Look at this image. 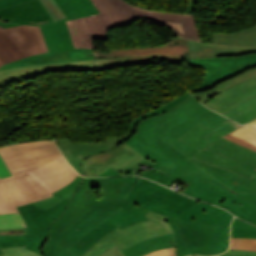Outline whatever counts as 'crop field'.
I'll use <instances>...</instances> for the list:
<instances>
[{
	"instance_id": "8a807250",
	"label": "crop field",
	"mask_w": 256,
	"mask_h": 256,
	"mask_svg": "<svg viewBox=\"0 0 256 256\" xmlns=\"http://www.w3.org/2000/svg\"><path fill=\"white\" fill-rule=\"evenodd\" d=\"M198 123L192 118L180 124L171 118L164 122L149 117L138 123L136 133L125 142L156 163L151 167L174 176L166 186L177 179L188 184L211 181L233 192L239 187L232 183L239 174L191 158L200 150L179 140Z\"/></svg>"
},
{
	"instance_id": "ac0d7876",
	"label": "crop field",
	"mask_w": 256,
	"mask_h": 256,
	"mask_svg": "<svg viewBox=\"0 0 256 256\" xmlns=\"http://www.w3.org/2000/svg\"><path fill=\"white\" fill-rule=\"evenodd\" d=\"M137 179V176L84 178L64 214L51 223V234L41 248L42 255L78 256L67 249L121 208L101 204L97 199L124 200Z\"/></svg>"
},
{
	"instance_id": "34b2d1b8",
	"label": "crop field",
	"mask_w": 256,
	"mask_h": 256,
	"mask_svg": "<svg viewBox=\"0 0 256 256\" xmlns=\"http://www.w3.org/2000/svg\"><path fill=\"white\" fill-rule=\"evenodd\" d=\"M92 1L100 14L67 21L75 48H93L92 38L107 39L108 29L144 17L167 25L181 37L201 41L193 15L149 11L124 0Z\"/></svg>"
},
{
	"instance_id": "412701ff",
	"label": "crop field",
	"mask_w": 256,
	"mask_h": 256,
	"mask_svg": "<svg viewBox=\"0 0 256 256\" xmlns=\"http://www.w3.org/2000/svg\"><path fill=\"white\" fill-rule=\"evenodd\" d=\"M232 218L221 208L199 202L177 219L167 216L165 221L175 232L178 256L214 255L226 251L229 246Z\"/></svg>"
},
{
	"instance_id": "f4fd0767",
	"label": "crop field",
	"mask_w": 256,
	"mask_h": 256,
	"mask_svg": "<svg viewBox=\"0 0 256 256\" xmlns=\"http://www.w3.org/2000/svg\"><path fill=\"white\" fill-rule=\"evenodd\" d=\"M221 137L199 123L180 140L202 150L193 158L241 174L234 183L255 190L256 152Z\"/></svg>"
},
{
	"instance_id": "dd49c442",
	"label": "crop field",
	"mask_w": 256,
	"mask_h": 256,
	"mask_svg": "<svg viewBox=\"0 0 256 256\" xmlns=\"http://www.w3.org/2000/svg\"><path fill=\"white\" fill-rule=\"evenodd\" d=\"M69 201L64 199L47 210L38 209L34 203L18 206L27 226V234L26 236L0 235L1 248L26 245V248L41 254L40 248L50 233V223L60 217Z\"/></svg>"
},
{
	"instance_id": "e52e79f7",
	"label": "crop field",
	"mask_w": 256,
	"mask_h": 256,
	"mask_svg": "<svg viewBox=\"0 0 256 256\" xmlns=\"http://www.w3.org/2000/svg\"><path fill=\"white\" fill-rule=\"evenodd\" d=\"M125 201L174 218L199 202L141 177H139Z\"/></svg>"
},
{
	"instance_id": "d8731c3e",
	"label": "crop field",
	"mask_w": 256,
	"mask_h": 256,
	"mask_svg": "<svg viewBox=\"0 0 256 256\" xmlns=\"http://www.w3.org/2000/svg\"><path fill=\"white\" fill-rule=\"evenodd\" d=\"M193 95L209 108L222 113L256 95V68L225 80L215 88Z\"/></svg>"
},
{
	"instance_id": "5a996713",
	"label": "crop field",
	"mask_w": 256,
	"mask_h": 256,
	"mask_svg": "<svg viewBox=\"0 0 256 256\" xmlns=\"http://www.w3.org/2000/svg\"><path fill=\"white\" fill-rule=\"evenodd\" d=\"M145 215L149 219L148 221L136 223L122 230L117 227L102 239H100L83 256H98L107 248L116 243L120 249L123 250L138 241L161 234L173 233L170 225L166 222H163L166 219V216L157 214L152 211Z\"/></svg>"
},
{
	"instance_id": "3316defc",
	"label": "crop field",
	"mask_w": 256,
	"mask_h": 256,
	"mask_svg": "<svg viewBox=\"0 0 256 256\" xmlns=\"http://www.w3.org/2000/svg\"><path fill=\"white\" fill-rule=\"evenodd\" d=\"M6 166L12 175L31 171L61 155L54 140L24 142L0 148Z\"/></svg>"
},
{
	"instance_id": "28ad6ade",
	"label": "crop field",
	"mask_w": 256,
	"mask_h": 256,
	"mask_svg": "<svg viewBox=\"0 0 256 256\" xmlns=\"http://www.w3.org/2000/svg\"><path fill=\"white\" fill-rule=\"evenodd\" d=\"M46 51L48 50L39 27H0V66Z\"/></svg>"
},
{
	"instance_id": "d1516ede",
	"label": "crop field",
	"mask_w": 256,
	"mask_h": 256,
	"mask_svg": "<svg viewBox=\"0 0 256 256\" xmlns=\"http://www.w3.org/2000/svg\"><path fill=\"white\" fill-rule=\"evenodd\" d=\"M52 194L28 172L0 180V214L18 212L16 206L43 200Z\"/></svg>"
},
{
	"instance_id": "22f410ed",
	"label": "crop field",
	"mask_w": 256,
	"mask_h": 256,
	"mask_svg": "<svg viewBox=\"0 0 256 256\" xmlns=\"http://www.w3.org/2000/svg\"><path fill=\"white\" fill-rule=\"evenodd\" d=\"M101 203L116 205L123 207L114 213L108 219L96 226L90 233L80 239L68 250L82 256L89 248H91L101 237L113 230L115 227L121 229L134 224L136 222L147 220L144 215L149 210L137 207L125 201L116 200H99Z\"/></svg>"
},
{
	"instance_id": "cbeb9de0",
	"label": "crop field",
	"mask_w": 256,
	"mask_h": 256,
	"mask_svg": "<svg viewBox=\"0 0 256 256\" xmlns=\"http://www.w3.org/2000/svg\"><path fill=\"white\" fill-rule=\"evenodd\" d=\"M183 193L226 208L241 219L256 225V204L246 201L218 185L210 182H192Z\"/></svg>"
},
{
	"instance_id": "5142ce71",
	"label": "crop field",
	"mask_w": 256,
	"mask_h": 256,
	"mask_svg": "<svg viewBox=\"0 0 256 256\" xmlns=\"http://www.w3.org/2000/svg\"><path fill=\"white\" fill-rule=\"evenodd\" d=\"M67 18L53 24L41 26V31L48 50L74 48L65 21L78 17L97 14L98 11L91 0H55Z\"/></svg>"
},
{
	"instance_id": "d9b57169",
	"label": "crop field",
	"mask_w": 256,
	"mask_h": 256,
	"mask_svg": "<svg viewBox=\"0 0 256 256\" xmlns=\"http://www.w3.org/2000/svg\"><path fill=\"white\" fill-rule=\"evenodd\" d=\"M132 135L133 134L129 133L119 137H107L105 142L100 143H72L69 138L56 139V141L67 161L79 174L84 175L80 163L84 161L86 157L109 150L124 142Z\"/></svg>"
},
{
	"instance_id": "733c2abd",
	"label": "crop field",
	"mask_w": 256,
	"mask_h": 256,
	"mask_svg": "<svg viewBox=\"0 0 256 256\" xmlns=\"http://www.w3.org/2000/svg\"><path fill=\"white\" fill-rule=\"evenodd\" d=\"M29 173L51 193L72 182L78 175L62 155Z\"/></svg>"
},
{
	"instance_id": "4a817a6b",
	"label": "crop field",
	"mask_w": 256,
	"mask_h": 256,
	"mask_svg": "<svg viewBox=\"0 0 256 256\" xmlns=\"http://www.w3.org/2000/svg\"><path fill=\"white\" fill-rule=\"evenodd\" d=\"M95 64L94 60L75 61L58 64L47 65H31L26 67L7 69L0 71V87L11 84L13 82L44 74L52 71L64 70H86V65Z\"/></svg>"
},
{
	"instance_id": "bc2a9ffb",
	"label": "crop field",
	"mask_w": 256,
	"mask_h": 256,
	"mask_svg": "<svg viewBox=\"0 0 256 256\" xmlns=\"http://www.w3.org/2000/svg\"><path fill=\"white\" fill-rule=\"evenodd\" d=\"M0 19L35 26L53 21L39 0L0 9Z\"/></svg>"
},
{
	"instance_id": "214f88e0",
	"label": "crop field",
	"mask_w": 256,
	"mask_h": 256,
	"mask_svg": "<svg viewBox=\"0 0 256 256\" xmlns=\"http://www.w3.org/2000/svg\"><path fill=\"white\" fill-rule=\"evenodd\" d=\"M253 67H256V53L237 57L212 74L206 72L207 76L203 82L198 87L190 90V92L208 90L213 88L217 83Z\"/></svg>"
},
{
	"instance_id": "92a150f3",
	"label": "crop field",
	"mask_w": 256,
	"mask_h": 256,
	"mask_svg": "<svg viewBox=\"0 0 256 256\" xmlns=\"http://www.w3.org/2000/svg\"><path fill=\"white\" fill-rule=\"evenodd\" d=\"M132 155L134 154L130 150L120 144L116 148L107 152L88 157L84 162H82L81 166L85 176H98L118 162Z\"/></svg>"
},
{
	"instance_id": "dafd665d",
	"label": "crop field",
	"mask_w": 256,
	"mask_h": 256,
	"mask_svg": "<svg viewBox=\"0 0 256 256\" xmlns=\"http://www.w3.org/2000/svg\"><path fill=\"white\" fill-rule=\"evenodd\" d=\"M190 117L194 118L195 120L204 124L208 128L219 133L220 135L227 134L240 126L218 115L217 113L207 109L205 106Z\"/></svg>"
},
{
	"instance_id": "00972430",
	"label": "crop field",
	"mask_w": 256,
	"mask_h": 256,
	"mask_svg": "<svg viewBox=\"0 0 256 256\" xmlns=\"http://www.w3.org/2000/svg\"><path fill=\"white\" fill-rule=\"evenodd\" d=\"M170 247H175L174 234L147 239L123 250V252L126 256H141L151 251Z\"/></svg>"
},
{
	"instance_id": "a9b5d70f",
	"label": "crop field",
	"mask_w": 256,
	"mask_h": 256,
	"mask_svg": "<svg viewBox=\"0 0 256 256\" xmlns=\"http://www.w3.org/2000/svg\"><path fill=\"white\" fill-rule=\"evenodd\" d=\"M213 44L256 46V25L232 34L214 33Z\"/></svg>"
},
{
	"instance_id": "4177f3b9",
	"label": "crop field",
	"mask_w": 256,
	"mask_h": 256,
	"mask_svg": "<svg viewBox=\"0 0 256 256\" xmlns=\"http://www.w3.org/2000/svg\"><path fill=\"white\" fill-rule=\"evenodd\" d=\"M66 51L69 52V54H70V56H71L73 61H75V60L94 59L91 49L56 50V51H51V52H47V53H43V54L31 56V57L22 58L20 60L11 62L9 64H6V65L2 66L0 69H7V68L26 66V65H28V61H30V60H34V59H38V58H42V57H45V56H49V55H53V54H57V53H61V52H66Z\"/></svg>"
},
{
	"instance_id": "730fd06b",
	"label": "crop field",
	"mask_w": 256,
	"mask_h": 256,
	"mask_svg": "<svg viewBox=\"0 0 256 256\" xmlns=\"http://www.w3.org/2000/svg\"><path fill=\"white\" fill-rule=\"evenodd\" d=\"M202 106H204V105L197 102L190 95V97L187 100L180 103L179 105H177L175 108H173L169 112H167L163 115H158V117L164 121L171 117L181 123L184 120H186L187 118H189L190 115H192L194 112H196Z\"/></svg>"
},
{
	"instance_id": "eef30255",
	"label": "crop field",
	"mask_w": 256,
	"mask_h": 256,
	"mask_svg": "<svg viewBox=\"0 0 256 256\" xmlns=\"http://www.w3.org/2000/svg\"><path fill=\"white\" fill-rule=\"evenodd\" d=\"M225 116H228L236 120L240 124H246L247 122L255 119L256 96L242 102L240 105H238L237 107L229 111L227 114H225Z\"/></svg>"
},
{
	"instance_id": "ae1a2a85",
	"label": "crop field",
	"mask_w": 256,
	"mask_h": 256,
	"mask_svg": "<svg viewBox=\"0 0 256 256\" xmlns=\"http://www.w3.org/2000/svg\"><path fill=\"white\" fill-rule=\"evenodd\" d=\"M223 138L256 151V129L249 125H243Z\"/></svg>"
},
{
	"instance_id": "d3111659",
	"label": "crop field",
	"mask_w": 256,
	"mask_h": 256,
	"mask_svg": "<svg viewBox=\"0 0 256 256\" xmlns=\"http://www.w3.org/2000/svg\"><path fill=\"white\" fill-rule=\"evenodd\" d=\"M95 62H96V65L87 66V70L104 71V70L113 69V68H117V67H123V66L157 63V61L129 62L128 58L95 60Z\"/></svg>"
},
{
	"instance_id": "750c4746",
	"label": "crop field",
	"mask_w": 256,
	"mask_h": 256,
	"mask_svg": "<svg viewBox=\"0 0 256 256\" xmlns=\"http://www.w3.org/2000/svg\"><path fill=\"white\" fill-rule=\"evenodd\" d=\"M235 58L236 57L196 58V59H192V61H190L186 65H193L196 67H200L211 73Z\"/></svg>"
},
{
	"instance_id": "bd1437ed",
	"label": "crop field",
	"mask_w": 256,
	"mask_h": 256,
	"mask_svg": "<svg viewBox=\"0 0 256 256\" xmlns=\"http://www.w3.org/2000/svg\"><path fill=\"white\" fill-rule=\"evenodd\" d=\"M189 93H185L181 96H179L178 98H176L175 100H173L172 102H170L169 104L159 108V109H156V110H153L151 112H148V113H145L143 115H140L138 116L137 118H135L134 120H132L129 125H128V132L130 133H134L135 132V128H136V125L139 121L149 117V116H154V115H158V114H162V113H165L167 111H169L170 109H172L174 106H176L178 103L182 102L183 100H185L187 97H189Z\"/></svg>"
},
{
	"instance_id": "1d83c4d3",
	"label": "crop field",
	"mask_w": 256,
	"mask_h": 256,
	"mask_svg": "<svg viewBox=\"0 0 256 256\" xmlns=\"http://www.w3.org/2000/svg\"><path fill=\"white\" fill-rule=\"evenodd\" d=\"M176 39L186 40L180 37L172 38L168 40H176ZM168 40H165V41H168ZM188 43H189V52L191 54V58L211 57V50L213 45L203 44V43L189 41V40H188Z\"/></svg>"
},
{
	"instance_id": "120bbe31",
	"label": "crop field",
	"mask_w": 256,
	"mask_h": 256,
	"mask_svg": "<svg viewBox=\"0 0 256 256\" xmlns=\"http://www.w3.org/2000/svg\"><path fill=\"white\" fill-rule=\"evenodd\" d=\"M254 52H256V48H233L214 45L212 56H240Z\"/></svg>"
},
{
	"instance_id": "d32e631a",
	"label": "crop field",
	"mask_w": 256,
	"mask_h": 256,
	"mask_svg": "<svg viewBox=\"0 0 256 256\" xmlns=\"http://www.w3.org/2000/svg\"><path fill=\"white\" fill-rule=\"evenodd\" d=\"M82 181H83V177L79 180V182L72 189H70L69 191H67L66 193L62 194L59 197L53 196L47 200L35 202V204L37 205L38 208L47 209V208L51 207L53 204H55L56 202H58L64 198L71 199L72 195L75 193L74 191H76L79 188Z\"/></svg>"
},
{
	"instance_id": "5866460e",
	"label": "crop field",
	"mask_w": 256,
	"mask_h": 256,
	"mask_svg": "<svg viewBox=\"0 0 256 256\" xmlns=\"http://www.w3.org/2000/svg\"><path fill=\"white\" fill-rule=\"evenodd\" d=\"M25 227L24 221L19 213L0 215V229Z\"/></svg>"
},
{
	"instance_id": "028f5c9d",
	"label": "crop field",
	"mask_w": 256,
	"mask_h": 256,
	"mask_svg": "<svg viewBox=\"0 0 256 256\" xmlns=\"http://www.w3.org/2000/svg\"><path fill=\"white\" fill-rule=\"evenodd\" d=\"M230 249L256 251V239H234V238H231Z\"/></svg>"
},
{
	"instance_id": "e1f06a70",
	"label": "crop field",
	"mask_w": 256,
	"mask_h": 256,
	"mask_svg": "<svg viewBox=\"0 0 256 256\" xmlns=\"http://www.w3.org/2000/svg\"><path fill=\"white\" fill-rule=\"evenodd\" d=\"M66 61H72L68 52L53 55V56H49V57L34 60V61H30L29 65H31V64L58 63V62H66Z\"/></svg>"
},
{
	"instance_id": "0bd39190",
	"label": "crop field",
	"mask_w": 256,
	"mask_h": 256,
	"mask_svg": "<svg viewBox=\"0 0 256 256\" xmlns=\"http://www.w3.org/2000/svg\"><path fill=\"white\" fill-rule=\"evenodd\" d=\"M6 256H41L22 246L0 249Z\"/></svg>"
},
{
	"instance_id": "b80d0937",
	"label": "crop field",
	"mask_w": 256,
	"mask_h": 256,
	"mask_svg": "<svg viewBox=\"0 0 256 256\" xmlns=\"http://www.w3.org/2000/svg\"><path fill=\"white\" fill-rule=\"evenodd\" d=\"M41 1L44 3L46 8L52 14L55 21L65 17V15L61 11L60 7L58 6V4L54 0H41Z\"/></svg>"
},
{
	"instance_id": "c035e120",
	"label": "crop field",
	"mask_w": 256,
	"mask_h": 256,
	"mask_svg": "<svg viewBox=\"0 0 256 256\" xmlns=\"http://www.w3.org/2000/svg\"><path fill=\"white\" fill-rule=\"evenodd\" d=\"M234 193L246 200L256 203V191L240 186Z\"/></svg>"
},
{
	"instance_id": "c21b1889",
	"label": "crop field",
	"mask_w": 256,
	"mask_h": 256,
	"mask_svg": "<svg viewBox=\"0 0 256 256\" xmlns=\"http://www.w3.org/2000/svg\"><path fill=\"white\" fill-rule=\"evenodd\" d=\"M231 237H234V238H256V231L231 229Z\"/></svg>"
},
{
	"instance_id": "03da06ac",
	"label": "crop field",
	"mask_w": 256,
	"mask_h": 256,
	"mask_svg": "<svg viewBox=\"0 0 256 256\" xmlns=\"http://www.w3.org/2000/svg\"><path fill=\"white\" fill-rule=\"evenodd\" d=\"M100 256H125L123 252L119 249L116 245L112 246L111 248L107 249L103 252Z\"/></svg>"
},
{
	"instance_id": "b54c1fbb",
	"label": "crop field",
	"mask_w": 256,
	"mask_h": 256,
	"mask_svg": "<svg viewBox=\"0 0 256 256\" xmlns=\"http://www.w3.org/2000/svg\"><path fill=\"white\" fill-rule=\"evenodd\" d=\"M144 256H175L174 248L163 249L155 252L148 253Z\"/></svg>"
},
{
	"instance_id": "5d738f31",
	"label": "crop field",
	"mask_w": 256,
	"mask_h": 256,
	"mask_svg": "<svg viewBox=\"0 0 256 256\" xmlns=\"http://www.w3.org/2000/svg\"><path fill=\"white\" fill-rule=\"evenodd\" d=\"M231 228H241V229H252L256 230V227L249 225L239 219H234L232 222V227Z\"/></svg>"
},
{
	"instance_id": "d23c7cc5",
	"label": "crop field",
	"mask_w": 256,
	"mask_h": 256,
	"mask_svg": "<svg viewBox=\"0 0 256 256\" xmlns=\"http://www.w3.org/2000/svg\"><path fill=\"white\" fill-rule=\"evenodd\" d=\"M227 256H256V252L228 250Z\"/></svg>"
},
{
	"instance_id": "425ffa30",
	"label": "crop field",
	"mask_w": 256,
	"mask_h": 256,
	"mask_svg": "<svg viewBox=\"0 0 256 256\" xmlns=\"http://www.w3.org/2000/svg\"><path fill=\"white\" fill-rule=\"evenodd\" d=\"M26 228H16V229H4L0 230V234H20L25 235Z\"/></svg>"
},
{
	"instance_id": "25e5ab78",
	"label": "crop field",
	"mask_w": 256,
	"mask_h": 256,
	"mask_svg": "<svg viewBox=\"0 0 256 256\" xmlns=\"http://www.w3.org/2000/svg\"><path fill=\"white\" fill-rule=\"evenodd\" d=\"M80 177H81V176L78 175V176L74 179V181H73L72 183H70L69 185L63 187L61 190H59V191L53 193V195L59 196V195H61L62 193L66 192L67 190H69L70 188H72V187L78 182V180L80 179Z\"/></svg>"
},
{
	"instance_id": "73cf0c24",
	"label": "crop field",
	"mask_w": 256,
	"mask_h": 256,
	"mask_svg": "<svg viewBox=\"0 0 256 256\" xmlns=\"http://www.w3.org/2000/svg\"><path fill=\"white\" fill-rule=\"evenodd\" d=\"M26 1H29V0H0V8L26 2Z\"/></svg>"
},
{
	"instance_id": "89e229c0",
	"label": "crop field",
	"mask_w": 256,
	"mask_h": 256,
	"mask_svg": "<svg viewBox=\"0 0 256 256\" xmlns=\"http://www.w3.org/2000/svg\"><path fill=\"white\" fill-rule=\"evenodd\" d=\"M9 176H11V174L9 173V171L7 170L3 161L0 158V179L5 178V177H9Z\"/></svg>"
},
{
	"instance_id": "1f2cbd36",
	"label": "crop field",
	"mask_w": 256,
	"mask_h": 256,
	"mask_svg": "<svg viewBox=\"0 0 256 256\" xmlns=\"http://www.w3.org/2000/svg\"><path fill=\"white\" fill-rule=\"evenodd\" d=\"M120 173H118L117 171H115L114 169H109L106 172L102 173L100 176H113V175H119Z\"/></svg>"
},
{
	"instance_id": "dbb93151",
	"label": "crop field",
	"mask_w": 256,
	"mask_h": 256,
	"mask_svg": "<svg viewBox=\"0 0 256 256\" xmlns=\"http://www.w3.org/2000/svg\"><path fill=\"white\" fill-rule=\"evenodd\" d=\"M195 1L196 0H189V7H188L186 13L193 14L194 6H195Z\"/></svg>"
},
{
	"instance_id": "0fb4a251",
	"label": "crop field",
	"mask_w": 256,
	"mask_h": 256,
	"mask_svg": "<svg viewBox=\"0 0 256 256\" xmlns=\"http://www.w3.org/2000/svg\"><path fill=\"white\" fill-rule=\"evenodd\" d=\"M16 25H20V24H14V23H10V22H8V21H2V20H0V26H2V27H9V26H16Z\"/></svg>"
},
{
	"instance_id": "1d79db26",
	"label": "crop field",
	"mask_w": 256,
	"mask_h": 256,
	"mask_svg": "<svg viewBox=\"0 0 256 256\" xmlns=\"http://www.w3.org/2000/svg\"><path fill=\"white\" fill-rule=\"evenodd\" d=\"M249 124L253 125L254 127H256V120L250 122Z\"/></svg>"
},
{
	"instance_id": "9d1cf04e",
	"label": "crop field",
	"mask_w": 256,
	"mask_h": 256,
	"mask_svg": "<svg viewBox=\"0 0 256 256\" xmlns=\"http://www.w3.org/2000/svg\"><path fill=\"white\" fill-rule=\"evenodd\" d=\"M226 253H227V252H225V253H222V254H220V255H217V256H225V255H226Z\"/></svg>"
},
{
	"instance_id": "447ae74e",
	"label": "crop field",
	"mask_w": 256,
	"mask_h": 256,
	"mask_svg": "<svg viewBox=\"0 0 256 256\" xmlns=\"http://www.w3.org/2000/svg\"><path fill=\"white\" fill-rule=\"evenodd\" d=\"M0 256H5L4 254H1Z\"/></svg>"
},
{
	"instance_id": "0765c3eb",
	"label": "crop field",
	"mask_w": 256,
	"mask_h": 256,
	"mask_svg": "<svg viewBox=\"0 0 256 256\" xmlns=\"http://www.w3.org/2000/svg\"><path fill=\"white\" fill-rule=\"evenodd\" d=\"M0 254H1V252H0Z\"/></svg>"
}]
</instances>
